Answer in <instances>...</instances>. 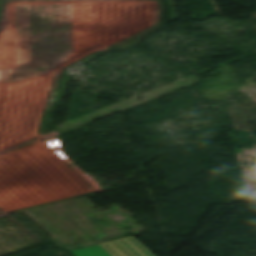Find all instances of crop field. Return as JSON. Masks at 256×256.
Masks as SVG:
<instances>
[{"label": "crop field", "mask_w": 256, "mask_h": 256, "mask_svg": "<svg viewBox=\"0 0 256 256\" xmlns=\"http://www.w3.org/2000/svg\"><path fill=\"white\" fill-rule=\"evenodd\" d=\"M71 253L74 254L75 256H112L100 244L71 251Z\"/></svg>", "instance_id": "crop-field-2"}, {"label": "crop field", "mask_w": 256, "mask_h": 256, "mask_svg": "<svg viewBox=\"0 0 256 256\" xmlns=\"http://www.w3.org/2000/svg\"><path fill=\"white\" fill-rule=\"evenodd\" d=\"M114 256H153L133 237L101 244Z\"/></svg>", "instance_id": "crop-field-1"}]
</instances>
